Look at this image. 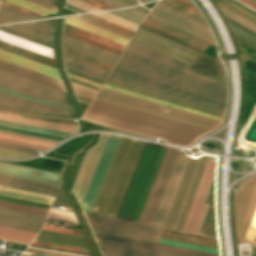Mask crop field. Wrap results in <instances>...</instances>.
Segmentation results:
<instances>
[{
  "mask_svg": "<svg viewBox=\"0 0 256 256\" xmlns=\"http://www.w3.org/2000/svg\"><path fill=\"white\" fill-rule=\"evenodd\" d=\"M88 111L120 118L123 120L159 128L162 130L190 136L196 138L197 136L208 132V130L197 128L194 126H189L185 124H181L178 122H174L171 120H167L164 118L136 112L133 110L125 109L122 107L114 106L111 104L99 102L93 100Z\"/></svg>",
  "mask_w": 256,
  "mask_h": 256,
  "instance_id": "e52e79f7",
  "label": "crop field"
},
{
  "mask_svg": "<svg viewBox=\"0 0 256 256\" xmlns=\"http://www.w3.org/2000/svg\"><path fill=\"white\" fill-rule=\"evenodd\" d=\"M131 42L149 48L171 58L177 59L189 65H191L192 62L199 55L198 53H195L183 46L168 41L139 27L137 28L134 37L131 39Z\"/></svg>",
  "mask_w": 256,
  "mask_h": 256,
  "instance_id": "3316defc",
  "label": "crop field"
},
{
  "mask_svg": "<svg viewBox=\"0 0 256 256\" xmlns=\"http://www.w3.org/2000/svg\"><path fill=\"white\" fill-rule=\"evenodd\" d=\"M28 19H35V18L24 15L17 11L11 10L4 6H2L0 9V21L3 23L20 21V20H28Z\"/></svg>",
  "mask_w": 256,
  "mask_h": 256,
  "instance_id": "5866460e",
  "label": "crop field"
},
{
  "mask_svg": "<svg viewBox=\"0 0 256 256\" xmlns=\"http://www.w3.org/2000/svg\"><path fill=\"white\" fill-rule=\"evenodd\" d=\"M0 141L10 142V143H16V144H21V145H27V146H32V147H38V148L48 149V147H42V146H37V145H32V144H26V143H21V142H16V141H10V140H4V139H0Z\"/></svg>",
  "mask_w": 256,
  "mask_h": 256,
  "instance_id": "1d79db26",
  "label": "crop field"
},
{
  "mask_svg": "<svg viewBox=\"0 0 256 256\" xmlns=\"http://www.w3.org/2000/svg\"><path fill=\"white\" fill-rule=\"evenodd\" d=\"M35 235V232L23 231L0 226V237L30 243V241L33 239Z\"/></svg>",
  "mask_w": 256,
  "mask_h": 256,
  "instance_id": "d3111659",
  "label": "crop field"
},
{
  "mask_svg": "<svg viewBox=\"0 0 256 256\" xmlns=\"http://www.w3.org/2000/svg\"><path fill=\"white\" fill-rule=\"evenodd\" d=\"M0 106L10 107V108H15V109H20V110H27V111L48 112V113H56V114H64V115L75 116V114H71V113H65V112H59V111L29 107V106H24V105L12 103V102L4 101V100H0Z\"/></svg>",
  "mask_w": 256,
  "mask_h": 256,
  "instance_id": "0bd39190",
  "label": "crop field"
},
{
  "mask_svg": "<svg viewBox=\"0 0 256 256\" xmlns=\"http://www.w3.org/2000/svg\"><path fill=\"white\" fill-rule=\"evenodd\" d=\"M0 69H3L9 73H12L36 82H39L41 84L65 91L63 82L61 80L6 62L1 59H0Z\"/></svg>",
  "mask_w": 256,
  "mask_h": 256,
  "instance_id": "214f88e0",
  "label": "crop field"
},
{
  "mask_svg": "<svg viewBox=\"0 0 256 256\" xmlns=\"http://www.w3.org/2000/svg\"><path fill=\"white\" fill-rule=\"evenodd\" d=\"M22 256H25V255H22ZM42 256H63V255H57V254H52V253L44 252Z\"/></svg>",
  "mask_w": 256,
  "mask_h": 256,
  "instance_id": "78b8030e",
  "label": "crop field"
},
{
  "mask_svg": "<svg viewBox=\"0 0 256 256\" xmlns=\"http://www.w3.org/2000/svg\"><path fill=\"white\" fill-rule=\"evenodd\" d=\"M144 142L122 137L94 206L97 213H117Z\"/></svg>",
  "mask_w": 256,
  "mask_h": 256,
  "instance_id": "34b2d1b8",
  "label": "crop field"
},
{
  "mask_svg": "<svg viewBox=\"0 0 256 256\" xmlns=\"http://www.w3.org/2000/svg\"><path fill=\"white\" fill-rule=\"evenodd\" d=\"M73 88H74L76 94L87 97V98H90V99H92V97H91L92 94L95 95L94 92H91V91H88V90H85V89H82V88H79V87H76V86H73Z\"/></svg>",
  "mask_w": 256,
  "mask_h": 256,
  "instance_id": "73cf0c24",
  "label": "crop field"
},
{
  "mask_svg": "<svg viewBox=\"0 0 256 256\" xmlns=\"http://www.w3.org/2000/svg\"><path fill=\"white\" fill-rule=\"evenodd\" d=\"M0 129H1V130H6V131H11V132H16V133L34 135V134H29V133H24V132H19V131H13V130H8V129H3V128H0ZM34 136H39V135H34ZM39 137H44V136H39ZM45 138H49V137H45ZM51 139H54V138H51ZM57 140H59V139H57Z\"/></svg>",
  "mask_w": 256,
  "mask_h": 256,
  "instance_id": "0765c3eb",
  "label": "crop field"
},
{
  "mask_svg": "<svg viewBox=\"0 0 256 256\" xmlns=\"http://www.w3.org/2000/svg\"><path fill=\"white\" fill-rule=\"evenodd\" d=\"M178 151L177 149L168 148L139 222L150 225L163 189L174 166Z\"/></svg>",
  "mask_w": 256,
  "mask_h": 256,
  "instance_id": "d1516ede",
  "label": "crop field"
},
{
  "mask_svg": "<svg viewBox=\"0 0 256 256\" xmlns=\"http://www.w3.org/2000/svg\"><path fill=\"white\" fill-rule=\"evenodd\" d=\"M13 26L22 28L29 32L50 38L53 40L55 27L48 25L46 23L35 21V22H27L20 24H12Z\"/></svg>",
  "mask_w": 256,
  "mask_h": 256,
  "instance_id": "4177f3b9",
  "label": "crop field"
},
{
  "mask_svg": "<svg viewBox=\"0 0 256 256\" xmlns=\"http://www.w3.org/2000/svg\"><path fill=\"white\" fill-rule=\"evenodd\" d=\"M218 6H219V8H220V10H221L223 15L233 19L234 21H236V22L242 24L243 26H245V27L253 30L254 32H256V25L255 24L247 21L246 19L236 15L235 13L227 10L226 8H224V7L220 6V5H218Z\"/></svg>",
  "mask_w": 256,
  "mask_h": 256,
  "instance_id": "c21b1889",
  "label": "crop field"
},
{
  "mask_svg": "<svg viewBox=\"0 0 256 256\" xmlns=\"http://www.w3.org/2000/svg\"><path fill=\"white\" fill-rule=\"evenodd\" d=\"M109 78L177 97L223 113L225 110V88L126 50Z\"/></svg>",
  "mask_w": 256,
  "mask_h": 256,
  "instance_id": "8a807250",
  "label": "crop field"
},
{
  "mask_svg": "<svg viewBox=\"0 0 256 256\" xmlns=\"http://www.w3.org/2000/svg\"><path fill=\"white\" fill-rule=\"evenodd\" d=\"M0 173L24 177V178L52 183L56 185H58L60 175H61L57 173H51V172L41 171L37 169H32V168L2 163V162H0Z\"/></svg>",
  "mask_w": 256,
  "mask_h": 256,
  "instance_id": "bc2a9ffb",
  "label": "crop field"
},
{
  "mask_svg": "<svg viewBox=\"0 0 256 256\" xmlns=\"http://www.w3.org/2000/svg\"><path fill=\"white\" fill-rule=\"evenodd\" d=\"M0 181L56 192V185L0 174Z\"/></svg>",
  "mask_w": 256,
  "mask_h": 256,
  "instance_id": "eef30255",
  "label": "crop field"
},
{
  "mask_svg": "<svg viewBox=\"0 0 256 256\" xmlns=\"http://www.w3.org/2000/svg\"><path fill=\"white\" fill-rule=\"evenodd\" d=\"M72 83V82H71ZM73 85H76V86H79V87H82V88H86V89H89V90H92V91H95L96 92V90H93V89H90V88H87V87H84V86H81V85H78V84H75V83H72Z\"/></svg>",
  "mask_w": 256,
  "mask_h": 256,
  "instance_id": "0f1d7ab4",
  "label": "crop field"
},
{
  "mask_svg": "<svg viewBox=\"0 0 256 256\" xmlns=\"http://www.w3.org/2000/svg\"><path fill=\"white\" fill-rule=\"evenodd\" d=\"M84 118L98 122L103 125L115 127L118 129L130 131V132H134V133H138L146 136L161 137L172 143H177V144L189 145L194 140V138L162 131L159 129L123 121L120 119H116V118H112V117H108V116H104V115H100V114H96L88 111L86 112Z\"/></svg>",
  "mask_w": 256,
  "mask_h": 256,
  "instance_id": "28ad6ade",
  "label": "crop field"
},
{
  "mask_svg": "<svg viewBox=\"0 0 256 256\" xmlns=\"http://www.w3.org/2000/svg\"><path fill=\"white\" fill-rule=\"evenodd\" d=\"M99 246L149 256H219L217 253L188 249L155 242L95 233Z\"/></svg>",
  "mask_w": 256,
  "mask_h": 256,
  "instance_id": "dd49c442",
  "label": "crop field"
},
{
  "mask_svg": "<svg viewBox=\"0 0 256 256\" xmlns=\"http://www.w3.org/2000/svg\"><path fill=\"white\" fill-rule=\"evenodd\" d=\"M150 15L181 28L189 33L201 37L214 44L215 40L209 28L161 3H157Z\"/></svg>",
  "mask_w": 256,
  "mask_h": 256,
  "instance_id": "cbeb9de0",
  "label": "crop field"
},
{
  "mask_svg": "<svg viewBox=\"0 0 256 256\" xmlns=\"http://www.w3.org/2000/svg\"><path fill=\"white\" fill-rule=\"evenodd\" d=\"M94 99L212 130L220 121L101 87Z\"/></svg>",
  "mask_w": 256,
  "mask_h": 256,
  "instance_id": "f4fd0767",
  "label": "crop field"
},
{
  "mask_svg": "<svg viewBox=\"0 0 256 256\" xmlns=\"http://www.w3.org/2000/svg\"><path fill=\"white\" fill-rule=\"evenodd\" d=\"M161 243H167V244H172V245H178V246H183V247H189V248H195V249H200V250H206V251H211V252H217L219 253L218 250L216 249H211V248H205V247H200V246H195V245H189V244H184V243H179V242H174V241H168V240H160Z\"/></svg>",
  "mask_w": 256,
  "mask_h": 256,
  "instance_id": "5d738f31",
  "label": "crop field"
},
{
  "mask_svg": "<svg viewBox=\"0 0 256 256\" xmlns=\"http://www.w3.org/2000/svg\"><path fill=\"white\" fill-rule=\"evenodd\" d=\"M121 137L109 135L100 156L98 166L88 189L82 208L91 211Z\"/></svg>",
  "mask_w": 256,
  "mask_h": 256,
  "instance_id": "22f410ed",
  "label": "crop field"
},
{
  "mask_svg": "<svg viewBox=\"0 0 256 256\" xmlns=\"http://www.w3.org/2000/svg\"><path fill=\"white\" fill-rule=\"evenodd\" d=\"M46 217L0 208V225L38 232Z\"/></svg>",
  "mask_w": 256,
  "mask_h": 256,
  "instance_id": "733c2abd",
  "label": "crop field"
},
{
  "mask_svg": "<svg viewBox=\"0 0 256 256\" xmlns=\"http://www.w3.org/2000/svg\"><path fill=\"white\" fill-rule=\"evenodd\" d=\"M0 192L6 193V194L22 196V197L38 199V200L49 201V202H51L53 199L52 196L32 193V192H28V191H23V190H18V189L3 187V186H0ZM1 193H0V199L10 200V201H14V202L30 204V205L40 206V207H46V208H48L50 205L49 202L38 201V200L22 198V197H17V196H12V195H6V194H1Z\"/></svg>",
  "mask_w": 256,
  "mask_h": 256,
  "instance_id": "92a150f3",
  "label": "crop field"
},
{
  "mask_svg": "<svg viewBox=\"0 0 256 256\" xmlns=\"http://www.w3.org/2000/svg\"><path fill=\"white\" fill-rule=\"evenodd\" d=\"M239 1L256 10V0H239Z\"/></svg>",
  "mask_w": 256,
  "mask_h": 256,
  "instance_id": "0fb4a251",
  "label": "crop field"
},
{
  "mask_svg": "<svg viewBox=\"0 0 256 256\" xmlns=\"http://www.w3.org/2000/svg\"><path fill=\"white\" fill-rule=\"evenodd\" d=\"M255 205H256V187H255L254 193L252 195V198H251V201L249 203L244 221L242 223V226H241V229H240V232H239L240 241H242L244 236H245L246 229H247V226H248V223L250 221V218H251V215L253 213Z\"/></svg>",
  "mask_w": 256,
  "mask_h": 256,
  "instance_id": "b80d0937",
  "label": "crop field"
},
{
  "mask_svg": "<svg viewBox=\"0 0 256 256\" xmlns=\"http://www.w3.org/2000/svg\"><path fill=\"white\" fill-rule=\"evenodd\" d=\"M186 161H187V157L178 155V158L176 160L175 166L171 173L170 179L163 192V195L161 197L160 203L158 205V208L156 210L155 216L151 224L161 226V227L164 226L171 201L173 199L174 193L176 191V188L179 183L180 177L182 175Z\"/></svg>",
  "mask_w": 256,
  "mask_h": 256,
  "instance_id": "5142ce71",
  "label": "crop field"
},
{
  "mask_svg": "<svg viewBox=\"0 0 256 256\" xmlns=\"http://www.w3.org/2000/svg\"><path fill=\"white\" fill-rule=\"evenodd\" d=\"M0 98L5 99V100H9V101H13V102H17V103H21V104H25V105H29V106H35V107H41V108H47V109H54V110H60V111L74 112V110L70 109V108H63V107H57V106L42 104V103L26 100V99H23V98H19V97H16V96H12V95H9V94H5V93H2V92H0Z\"/></svg>",
  "mask_w": 256,
  "mask_h": 256,
  "instance_id": "1d83c4d3",
  "label": "crop field"
},
{
  "mask_svg": "<svg viewBox=\"0 0 256 256\" xmlns=\"http://www.w3.org/2000/svg\"><path fill=\"white\" fill-rule=\"evenodd\" d=\"M100 248L104 256H144V255L133 254V253L123 252V251H118L113 249H107L102 247Z\"/></svg>",
  "mask_w": 256,
  "mask_h": 256,
  "instance_id": "b54c1fbb",
  "label": "crop field"
},
{
  "mask_svg": "<svg viewBox=\"0 0 256 256\" xmlns=\"http://www.w3.org/2000/svg\"><path fill=\"white\" fill-rule=\"evenodd\" d=\"M0 133H1V134H7V135L18 136V137L29 138V139H35V140L46 141V142H50V143H54V144H56L57 142H59V141H57V140H51V139L33 137V136H28V135L16 134V133H11V132L1 131V130H0Z\"/></svg>",
  "mask_w": 256,
  "mask_h": 256,
  "instance_id": "25e5ab78",
  "label": "crop field"
},
{
  "mask_svg": "<svg viewBox=\"0 0 256 256\" xmlns=\"http://www.w3.org/2000/svg\"><path fill=\"white\" fill-rule=\"evenodd\" d=\"M225 17V16H224ZM233 32L256 44V33L225 17Z\"/></svg>",
  "mask_w": 256,
  "mask_h": 256,
  "instance_id": "028f5c9d",
  "label": "crop field"
},
{
  "mask_svg": "<svg viewBox=\"0 0 256 256\" xmlns=\"http://www.w3.org/2000/svg\"><path fill=\"white\" fill-rule=\"evenodd\" d=\"M102 1H104V2H106L108 4H111V5H113V6L117 7V8L129 6V5H127L125 3H122V2H120L118 0H102Z\"/></svg>",
  "mask_w": 256,
  "mask_h": 256,
  "instance_id": "dbb93151",
  "label": "crop field"
},
{
  "mask_svg": "<svg viewBox=\"0 0 256 256\" xmlns=\"http://www.w3.org/2000/svg\"><path fill=\"white\" fill-rule=\"evenodd\" d=\"M0 207L19 210V211H25V212H31V213H37V214H43V215H45L48 210L46 208L24 205V204L14 203L10 201H5V200H0Z\"/></svg>",
  "mask_w": 256,
  "mask_h": 256,
  "instance_id": "120bbe31",
  "label": "crop field"
},
{
  "mask_svg": "<svg viewBox=\"0 0 256 256\" xmlns=\"http://www.w3.org/2000/svg\"><path fill=\"white\" fill-rule=\"evenodd\" d=\"M30 1L35 2V3H37V4H40V5H43V6H45V7L51 8V9H53V10H56L55 7L50 6V5H48V4H45V3H42V2H40V1H37V0H30Z\"/></svg>",
  "mask_w": 256,
  "mask_h": 256,
  "instance_id": "447ae74e",
  "label": "crop field"
},
{
  "mask_svg": "<svg viewBox=\"0 0 256 256\" xmlns=\"http://www.w3.org/2000/svg\"><path fill=\"white\" fill-rule=\"evenodd\" d=\"M47 218L78 224L74 213L71 212L51 209Z\"/></svg>",
  "mask_w": 256,
  "mask_h": 256,
  "instance_id": "c035e120",
  "label": "crop field"
},
{
  "mask_svg": "<svg viewBox=\"0 0 256 256\" xmlns=\"http://www.w3.org/2000/svg\"><path fill=\"white\" fill-rule=\"evenodd\" d=\"M65 22L68 24L74 25L76 27L82 28L84 30L90 31L92 33L98 34L100 36L106 37L108 39L114 40L116 42L122 43L124 45H126V43L128 42V39H126V38L120 37L118 35L108 32V31L102 30L100 28L91 26L89 24H86V23L79 21L77 19H74L72 17L66 18Z\"/></svg>",
  "mask_w": 256,
  "mask_h": 256,
  "instance_id": "a9b5d70f",
  "label": "crop field"
},
{
  "mask_svg": "<svg viewBox=\"0 0 256 256\" xmlns=\"http://www.w3.org/2000/svg\"><path fill=\"white\" fill-rule=\"evenodd\" d=\"M65 65L67 68H70L72 70L78 71L80 73L89 75L91 77L97 78L99 80H104V78L107 76L108 72L99 70L97 68L76 62L74 60L65 58ZM106 79V78H105Z\"/></svg>",
  "mask_w": 256,
  "mask_h": 256,
  "instance_id": "730fd06b",
  "label": "crop field"
},
{
  "mask_svg": "<svg viewBox=\"0 0 256 256\" xmlns=\"http://www.w3.org/2000/svg\"><path fill=\"white\" fill-rule=\"evenodd\" d=\"M0 185L8 186V187H13V188H18V189H23V190H28V191L42 193V194H47V195H52V196H54V194H55L53 192H48V191H43V190H38V189H33V188H28V187H23V186L3 183V182H0Z\"/></svg>",
  "mask_w": 256,
  "mask_h": 256,
  "instance_id": "425ffa30",
  "label": "crop field"
},
{
  "mask_svg": "<svg viewBox=\"0 0 256 256\" xmlns=\"http://www.w3.org/2000/svg\"><path fill=\"white\" fill-rule=\"evenodd\" d=\"M97 231L101 233L157 242L163 229L89 212Z\"/></svg>",
  "mask_w": 256,
  "mask_h": 256,
  "instance_id": "d8731c3e",
  "label": "crop field"
},
{
  "mask_svg": "<svg viewBox=\"0 0 256 256\" xmlns=\"http://www.w3.org/2000/svg\"><path fill=\"white\" fill-rule=\"evenodd\" d=\"M108 135L103 134L97 146L90 149L74 187L75 194L82 205L87 189L91 182L98 159Z\"/></svg>",
  "mask_w": 256,
  "mask_h": 256,
  "instance_id": "d9b57169",
  "label": "crop field"
},
{
  "mask_svg": "<svg viewBox=\"0 0 256 256\" xmlns=\"http://www.w3.org/2000/svg\"><path fill=\"white\" fill-rule=\"evenodd\" d=\"M0 148L22 152V153L33 154V155H37V151H38L37 148H31V147L20 146V145L4 143V142H0Z\"/></svg>",
  "mask_w": 256,
  "mask_h": 256,
  "instance_id": "03da06ac",
  "label": "crop field"
},
{
  "mask_svg": "<svg viewBox=\"0 0 256 256\" xmlns=\"http://www.w3.org/2000/svg\"><path fill=\"white\" fill-rule=\"evenodd\" d=\"M63 43L67 44V45H70V46H73V47H76V48H79V49H82V50H85V51H88L90 53H93V54L111 59V60H114V61H116V58H118V55H115V54H112L110 52L98 49L96 47L84 44L82 42L70 39V38L65 37V36L63 38Z\"/></svg>",
  "mask_w": 256,
  "mask_h": 256,
  "instance_id": "ae1a2a85",
  "label": "crop field"
},
{
  "mask_svg": "<svg viewBox=\"0 0 256 256\" xmlns=\"http://www.w3.org/2000/svg\"><path fill=\"white\" fill-rule=\"evenodd\" d=\"M0 58L4 59L6 61H9V62L18 64V65L27 67L29 69H32V70L50 75L52 77L61 79L58 71L56 69H53L54 67L51 68V67L45 66L43 64H40V63H37L35 61L26 59L24 57L18 56L16 54L7 52V51L2 50V49H0Z\"/></svg>",
  "mask_w": 256,
  "mask_h": 256,
  "instance_id": "dafd665d",
  "label": "crop field"
},
{
  "mask_svg": "<svg viewBox=\"0 0 256 256\" xmlns=\"http://www.w3.org/2000/svg\"><path fill=\"white\" fill-rule=\"evenodd\" d=\"M105 83H109V84L116 85V86H119V87H122V88L133 90V91H136V92H139V93H143V94H146V95L157 97V98H160V99H163V100L174 102V103H177V104H180V105H184V106L194 108V109H197V110H200V111H204V112H207V113H211V114H214V115H218V116H222V117L224 116V114L220 113V112H216V111H213V110H210V109H207V108H203V107H200V106H197V105H194V104H190V103H187V102H184V101H181V100H177V99H174V98H171V97H168V96H164V95H161V94H158V93H155V92H151V91H148V90H145V89H142V88H138V87H135V86H132V85H129V84H125V83H122V82H119V81H116V80H112V79H109V78L106 79Z\"/></svg>",
  "mask_w": 256,
  "mask_h": 256,
  "instance_id": "00972430",
  "label": "crop field"
},
{
  "mask_svg": "<svg viewBox=\"0 0 256 256\" xmlns=\"http://www.w3.org/2000/svg\"><path fill=\"white\" fill-rule=\"evenodd\" d=\"M30 156H33V155L22 154V153H17V152L6 151V150L0 149V157H3V158H26V157H30Z\"/></svg>",
  "mask_w": 256,
  "mask_h": 256,
  "instance_id": "d23c7cc5",
  "label": "crop field"
},
{
  "mask_svg": "<svg viewBox=\"0 0 256 256\" xmlns=\"http://www.w3.org/2000/svg\"><path fill=\"white\" fill-rule=\"evenodd\" d=\"M103 87H107V88L119 90V91H122V92H126V93H129V94H133V95H136V96H140V97H143V98H146V99H150V100H153V101H157V102H160V103H164V104H167V105H171V106H174V107H177V108L186 110V111H190V112H193V113L202 115V116H206V117H209V118H213V119H216V120L222 121V119H223V118H220V117H217V116H213V115H210V114H207V113H203V112H200V111H197V110L185 108V107H182V106H179V105H175V104H172V103H169V102H165V101H162V100H159V99H155V98H152V97H149V96H146V95H142V94H139V93H136V92H132V91L126 90V89H122V88H119V87H115V86H112V85H109V84H105V83H104V84H103Z\"/></svg>",
  "mask_w": 256,
  "mask_h": 256,
  "instance_id": "750c4746",
  "label": "crop field"
},
{
  "mask_svg": "<svg viewBox=\"0 0 256 256\" xmlns=\"http://www.w3.org/2000/svg\"><path fill=\"white\" fill-rule=\"evenodd\" d=\"M40 1L48 3V4L53 5L55 7L57 5V0H40Z\"/></svg>",
  "mask_w": 256,
  "mask_h": 256,
  "instance_id": "db79e9e6",
  "label": "crop field"
},
{
  "mask_svg": "<svg viewBox=\"0 0 256 256\" xmlns=\"http://www.w3.org/2000/svg\"><path fill=\"white\" fill-rule=\"evenodd\" d=\"M126 50L134 52V53L139 54V55H142L144 57L150 58V59L155 60L157 62L163 63V64L168 65L170 67H173L175 69H178V70H181L183 72L192 74V75L197 76L199 78H202V79H204L206 81H209L211 83H214V84H217V85H220V86L226 88V85L223 84V83H220V82H218L216 80H213L211 78H208L206 76H203L201 74H198V73H196L194 71H191V70L187 69L189 67V65H187V64H184V63L179 62L177 60L171 59L169 57H166L164 55H161V54L156 53L154 51H151L149 49L143 48V47L138 46L136 44H133L131 42L126 47Z\"/></svg>",
  "mask_w": 256,
  "mask_h": 256,
  "instance_id": "4a817a6b",
  "label": "crop field"
},
{
  "mask_svg": "<svg viewBox=\"0 0 256 256\" xmlns=\"http://www.w3.org/2000/svg\"><path fill=\"white\" fill-rule=\"evenodd\" d=\"M8 2L14 3L16 5H19L21 7L27 8L29 10L35 11L37 13H40L42 15H46V14H52V13H56L53 10H50L48 8L42 7L40 5H37L35 3H32L30 1L27 0H6Z\"/></svg>",
  "mask_w": 256,
  "mask_h": 256,
  "instance_id": "e1f06a70",
  "label": "crop field"
},
{
  "mask_svg": "<svg viewBox=\"0 0 256 256\" xmlns=\"http://www.w3.org/2000/svg\"><path fill=\"white\" fill-rule=\"evenodd\" d=\"M68 75H69L70 77L75 78V79H78V80H81V81L87 82V83H89V84H92V85H95V86L100 87V84L94 83V82H92V81H89V80L80 78V77H78V76H75V75H72V74H69V73H68Z\"/></svg>",
  "mask_w": 256,
  "mask_h": 256,
  "instance_id": "9d1cf04e",
  "label": "crop field"
},
{
  "mask_svg": "<svg viewBox=\"0 0 256 256\" xmlns=\"http://www.w3.org/2000/svg\"><path fill=\"white\" fill-rule=\"evenodd\" d=\"M109 13H112L119 17L125 18V19L135 22L137 24H139L141 19L146 14V12L136 9L134 7L130 8V9H124V10L109 11Z\"/></svg>",
  "mask_w": 256,
  "mask_h": 256,
  "instance_id": "d32e631a",
  "label": "crop field"
},
{
  "mask_svg": "<svg viewBox=\"0 0 256 256\" xmlns=\"http://www.w3.org/2000/svg\"><path fill=\"white\" fill-rule=\"evenodd\" d=\"M207 162L188 159L171 204L166 228L181 230ZM215 163L208 162L182 231L199 233L208 206H203L214 177Z\"/></svg>",
  "mask_w": 256,
  "mask_h": 256,
  "instance_id": "ac0d7876",
  "label": "crop field"
},
{
  "mask_svg": "<svg viewBox=\"0 0 256 256\" xmlns=\"http://www.w3.org/2000/svg\"><path fill=\"white\" fill-rule=\"evenodd\" d=\"M74 17H76V18H78V19H81V20H83V21H85V22H88V23H90V24H93V25H95V26H97V27L106 29V30H108V31L114 32V33H116V34L122 35V36L127 37V38L130 39V36H127V35L121 34V33H119V32L113 31V30H111V29H108V28H106V27H103V26H101V25H98V24H96V23H93V22H91V21H89V20H86V19H84V18H81V17H79V16H74Z\"/></svg>",
  "mask_w": 256,
  "mask_h": 256,
  "instance_id": "1f2cbd36",
  "label": "crop field"
},
{
  "mask_svg": "<svg viewBox=\"0 0 256 256\" xmlns=\"http://www.w3.org/2000/svg\"><path fill=\"white\" fill-rule=\"evenodd\" d=\"M0 125L24 129V130H30V131H35V132H40V133H45V134H50V135L62 136V137L71 135V133L41 128V127H36V126L24 125V124H19V123L7 122V121H2V120H0Z\"/></svg>",
  "mask_w": 256,
  "mask_h": 256,
  "instance_id": "bd1437ed",
  "label": "crop field"
},
{
  "mask_svg": "<svg viewBox=\"0 0 256 256\" xmlns=\"http://www.w3.org/2000/svg\"><path fill=\"white\" fill-rule=\"evenodd\" d=\"M222 1L226 2L227 4H229V5L233 6V7H235L236 9H238V10L244 12L245 14H247V15L253 17L254 19H256V15L253 14V13H251V12H249V11H247L248 9L246 10V9L240 7L239 5L233 3V2L230 1V0H222Z\"/></svg>",
  "mask_w": 256,
  "mask_h": 256,
  "instance_id": "89e229c0",
  "label": "crop field"
},
{
  "mask_svg": "<svg viewBox=\"0 0 256 256\" xmlns=\"http://www.w3.org/2000/svg\"><path fill=\"white\" fill-rule=\"evenodd\" d=\"M0 87L49 102L71 105L65 92L0 70Z\"/></svg>",
  "mask_w": 256,
  "mask_h": 256,
  "instance_id": "5a996713",
  "label": "crop field"
},
{
  "mask_svg": "<svg viewBox=\"0 0 256 256\" xmlns=\"http://www.w3.org/2000/svg\"><path fill=\"white\" fill-rule=\"evenodd\" d=\"M121 1L126 2L130 5L138 4L137 0H121Z\"/></svg>",
  "mask_w": 256,
  "mask_h": 256,
  "instance_id": "7b73153f",
  "label": "crop field"
},
{
  "mask_svg": "<svg viewBox=\"0 0 256 256\" xmlns=\"http://www.w3.org/2000/svg\"><path fill=\"white\" fill-rule=\"evenodd\" d=\"M167 147L145 143L117 217L139 221Z\"/></svg>",
  "mask_w": 256,
  "mask_h": 256,
  "instance_id": "412701ff",
  "label": "crop field"
}]
</instances>
